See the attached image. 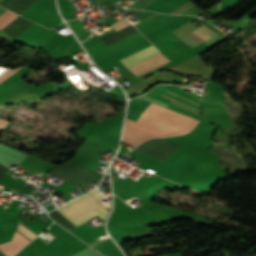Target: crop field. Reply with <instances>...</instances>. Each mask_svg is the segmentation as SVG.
<instances>
[{
  "mask_svg": "<svg viewBox=\"0 0 256 256\" xmlns=\"http://www.w3.org/2000/svg\"><path fill=\"white\" fill-rule=\"evenodd\" d=\"M103 197L94 190L56 210L76 226L97 215L105 220L109 209L98 201Z\"/></svg>",
  "mask_w": 256,
  "mask_h": 256,
  "instance_id": "crop-field-2",
  "label": "crop field"
},
{
  "mask_svg": "<svg viewBox=\"0 0 256 256\" xmlns=\"http://www.w3.org/2000/svg\"><path fill=\"white\" fill-rule=\"evenodd\" d=\"M17 70H19V69L10 70V71H8L7 73H5L4 75H2V76L0 77V82H1L2 80H4L5 78H7L8 76H10L11 74H13L14 72H16Z\"/></svg>",
  "mask_w": 256,
  "mask_h": 256,
  "instance_id": "crop-field-10",
  "label": "crop field"
},
{
  "mask_svg": "<svg viewBox=\"0 0 256 256\" xmlns=\"http://www.w3.org/2000/svg\"><path fill=\"white\" fill-rule=\"evenodd\" d=\"M4 71H5V69L0 68V74H1L2 72H4Z\"/></svg>",
  "mask_w": 256,
  "mask_h": 256,
  "instance_id": "crop-field-13",
  "label": "crop field"
},
{
  "mask_svg": "<svg viewBox=\"0 0 256 256\" xmlns=\"http://www.w3.org/2000/svg\"><path fill=\"white\" fill-rule=\"evenodd\" d=\"M146 60H144V61H142V62H140L138 64H135V65L129 67V69L136 76H138V75H140V74H142V73H144L146 71H149V70H151V69H153V68H155L157 66H160V65L168 62V60L164 56H162L161 54L156 56V57H154V58H152V59H150V60H148V61H146Z\"/></svg>",
  "mask_w": 256,
  "mask_h": 256,
  "instance_id": "crop-field-3",
  "label": "crop field"
},
{
  "mask_svg": "<svg viewBox=\"0 0 256 256\" xmlns=\"http://www.w3.org/2000/svg\"><path fill=\"white\" fill-rule=\"evenodd\" d=\"M206 28V27H205ZM204 27H199L198 29H196L195 31H193V32H195L196 34H198L200 37H202L203 39H208V38H210L211 36H213V35H215V34H213L212 32H210V31H208L207 29H205Z\"/></svg>",
  "mask_w": 256,
  "mask_h": 256,
  "instance_id": "crop-field-6",
  "label": "crop field"
},
{
  "mask_svg": "<svg viewBox=\"0 0 256 256\" xmlns=\"http://www.w3.org/2000/svg\"><path fill=\"white\" fill-rule=\"evenodd\" d=\"M197 120L151 103L136 123L126 119L122 141L134 147L145 140L188 132Z\"/></svg>",
  "mask_w": 256,
  "mask_h": 256,
  "instance_id": "crop-field-1",
  "label": "crop field"
},
{
  "mask_svg": "<svg viewBox=\"0 0 256 256\" xmlns=\"http://www.w3.org/2000/svg\"><path fill=\"white\" fill-rule=\"evenodd\" d=\"M9 121L0 118V129L3 128Z\"/></svg>",
  "mask_w": 256,
  "mask_h": 256,
  "instance_id": "crop-field-11",
  "label": "crop field"
},
{
  "mask_svg": "<svg viewBox=\"0 0 256 256\" xmlns=\"http://www.w3.org/2000/svg\"><path fill=\"white\" fill-rule=\"evenodd\" d=\"M166 92H168V93H170V94H173V95H175V96H177V97H180V98H182V99H184V100H187V101H189V102H191V103H194V104H196V105H198L199 106V104L197 103V102H195V101H193V100H190V99H188V98H186V97H183V96H181V95H178V94H175V93H173V92H170V91H168V90H166ZM173 103V102H172ZM175 104V103H174ZM177 105V104H176ZM179 106V105H178ZM188 110V109H187ZM190 111V110H189Z\"/></svg>",
  "mask_w": 256,
  "mask_h": 256,
  "instance_id": "crop-field-9",
  "label": "crop field"
},
{
  "mask_svg": "<svg viewBox=\"0 0 256 256\" xmlns=\"http://www.w3.org/2000/svg\"><path fill=\"white\" fill-rule=\"evenodd\" d=\"M18 225H20L22 228H24L25 230H27L29 233H31L33 236H37L35 235L33 232H31L29 229H27L25 226H23L21 223H18ZM16 227V230L19 231L22 235H24L27 239H29L30 241L34 238L31 234H29L28 232H26L24 229H22L20 226Z\"/></svg>",
  "mask_w": 256,
  "mask_h": 256,
  "instance_id": "crop-field-7",
  "label": "crop field"
},
{
  "mask_svg": "<svg viewBox=\"0 0 256 256\" xmlns=\"http://www.w3.org/2000/svg\"><path fill=\"white\" fill-rule=\"evenodd\" d=\"M16 17H18V15L13 14L9 11L0 16V30L4 28L7 24H9L11 21H13Z\"/></svg>",
  "mask_w": 256,
  "mask_h": 256,
  "instance_id": "crop-field-5",
  "label": "crop field"
},
{
  "mask_svg": "<svg viewBox=\"0 0 256 256\" xmlns=\"http://www.w3.org/2000/svg\"><path fill=\"white\" fill-rule=\"evenodd\" d=\"M216 37H219V34L214 36V37H212V38H210V39H208V40H206V41H204V42L208 43V42L212 41L213 39H215Z\"/></svg>",
  "mask_w": 256,
  "mask_h": 256,
  "instance_id": "crop-field-12",
  "label": "crop field"
},
{
  "mask_svg": "<svg viewBox=\"0 0 256 256\" xmlns=\"http://www.w3.org/2000/svg\"><path fill=\"white\" fill-rule=\"evenodd\" d=\"M158 52H159L158 50H156L153 46H151L149 48H146V49H144V50H142V51H140L136 54H133V55L121 60V62L125 66L129 67V66H131V65H133L137 62H140V61H142V60H144V59H146V58H148V57H150V56H152V55H154Z\"/></svg>",
  "mask_w": 256,
  "mask_h": 256,
  "instance_id": "crop-field-4",
  "label": "crop field"
},
{
  "mask_svg": "<svg viewBox=\"0 0 256 256\" xmlns=\"http://www.w3.org/2000/svg\"><path fill=\"white\" fill-rule=\"evenodd\" d=\"M128 25H130V23L123 18L110 26L113 27L116 31H118Z\"/></svg>",
  "mask_w": 256,
  "mask_h": 256,
  "instance_id": "crop-field-8",
  "label": "crop field"
}]
</instances>
